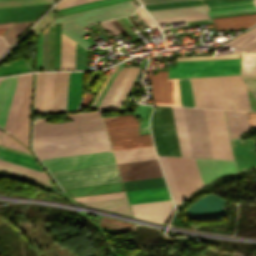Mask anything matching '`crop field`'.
Here are the masks:
<instances>
[{
    "label": "crop field",
    "instance_id": "1",
    "mask_svg": "<svg viewBox=\"0 0 256 256\" xmlns=\"http://www.w3.org/2000/svg\"><path fill=\"white\" fill-rule=\"evenodd\" d=\"M196 107L250 110L238 76L190 78Z\"/></svg>",
    "mask_w": 256,
    "mask_h": 256
},
{
    "label": "crop field",
    "instance_id": "2",
    "mask_svg": "<svg viewBox=\"0 0 256 256\" xmlns=\"http://www.w3.org/2000/svg\"><path fill=\"white\" fill-rule=\"evenodd\" d=\"M82 136V138H80ZM95 139V141H94ZM104 130L33 139V149L107 141ZM109 142L34 150L39 159L107 151Z\"/></svg>",
    "mask_w": 256,
    "mask_h": 256
},
{
    "label": "crop field",
    "instance_id": "3",
    "mask_svg": "<svg viewBox=\"0 0 256 256\" xmlns=\"http://www.w3.org/2000/svg\"><path fill=\"white\" fill-rule=\"evenodd\" d=\"M140 4L136 1H129L121 4H116L108 7H103L91 11H86L78 14H73L57 19H53L52 23L62 22V33L73 39L85 49L90 51L87 47L91 46L82 37L90 34L89 31L84 30V25L99 21H104L112 18H117L133 13L134 9Z\"/></svg>",
    "mask_w": 256,
    "mask_h": 256
},
{
    "label": "crop field",
    "instance_id": "4",
    "mask_svg": "<svg viewBox=\"0 0 256 256\" xmlns=\"http://www.w3.org/2000/svg\"><path fill=\"white\" fill-rule=\"evenodd\" d=\"M28 75L18 77L14 95L12 98L11 106L7 116L4 129L12 135L15 120L19 110L20 102L24 92L25 84ZM31 84L32 74L29 75L25 92L23 95L22 103L18 113L17 121L14 128L13 137L20 141L22 144L28 146V134H29V120H30V104H31Z\"/></svg>",
    "mask_w": 256,
    "mask_h": 256
},
{
    "label": "crop field",
    "instance_id": "5",
    "mask_svg": "<svg viewBox=\"0 0 256 256\" xmlns=\"http://www.w3.org/2000/svg\"><path fill=\"white\" fill-rule=\"evenodd\" d=\"M67 116L74 122L52 124L46 123L45 118L38 119L34 123L33 138L104 129L101 111L80 112Z\"/></svg>",
    "mask_w": 256,
    "mask_h": 256
},
{
    "label": "crop field",
    "instance_id": "6",
    "mask_svg": "<svg viewBox=\"0 0 256 256\" xmlns=\"http://www.w3.org/2000/svg\"><path fill=\"white\" fill-rule=\"evenodd\" d=\"M62 188L121 181L116 165H103L51 172Z\"/></svg>",
    "mask_w": 256,
    "mask_h": 256
},
{
    "label": "crop field",
    "instance_id": "7",
    "mask_svg": "<svg viewBox=\"0 0 256 256\" xmlns=\"http://www.w3.org/2000/svg\"><path fill=\"white\" fill-rule=\"evenodd\" d=\"M151 128L158 155L181 156L171 107L158 106Z\"/></svg>",
    "mask_w": 256,
    "mask_h": 256
},
{
    "label": "crop field",
    "instance_id": "8",
    "mask_svg": "<svg viewBox=\"0 0 256 256\" xmlns=\"http://www.w3.org/2000/svg\"><path fill=\"white\" fill-rule=\"evenodd\" d=\"M240 59L177 62L169 78L238 74Z\"/></svg>",
    "mask_w": 256,
    "mask_h": 256
},
{
    "label": "crop field",
    "instance_id": "9",
    "mask_svg": "<svg viewBox=\"0 0 256 256\" xmlns=\"http://www.w3.org/2000/svg\"><path fill=\"white\" fill-rule=\"evenodd\" d=\"M183 110L193 157L213 158L203 109Z\"/></svg>",
    "mask_w": 256,
    "mask_h": 256
},
{
    "label": "crop field",
    "instance_id": "10",
    "mask_svg": "<svg viewBox=\"0 0 256 256\" xmlns=\"http://www.w3.org/2000/svg\"><path fill=\"white\" fill-rule=\"evenodd\" d=\"M41 161L49 171L115 163L111 151Z\"/></svg>",
    "mask_w": 256,
    "mask_h": 256
},
{
    "label": "crop field",
    "instance_id": "11",
    "mask_svg": "<svg viewBox=\"0 0 256 256\" xmlns=\"http://www.w3.org/2000/svg\"><path fill=\"white\" fill-rule=\"evenodd\" d=\"M153 91L154 104L180 106L177 79H167V71L148 74Z\"/></svg>",
    "mask_w": 256,
    "mask_h": 256
},
{
    "label": "crop field",
    "instance_id": "12",
    "mask_svg": "<svg viewBox=\"0 0 256 256\" xmlns=\"http://www.w3.org/2000/svg\"><path fill=\"white\" fill-rule=\"evenodd\" d=\"M112 149L153 145L151 135H139L138 126L106 130Z\"/></svg>",
    "mask_w": 256,
    "mask_h": 256
},
{
    "label": "crop field",
    "instance_id": "13",
    "mask_svg": "<svg viewBox=\"0 0 256 256\" xmlns=\"http://www.w3.org/2000/svg\"><path fill=\"white\" fill-rule=\"evenodd\" d=\"M117 165L123 181L162 176L157 159Z\"/></svg>",
    "mask_w": 256,
    "mask_h": 256
},
{
    "label": "crop field",
    "instance_id": "14",
    "mask_svg": "<svg viewBox=\"0 0 256 256\" xmlns=\"http://www.w3.org/2000/svg\"><path fill=\"white\" fill-rule=\"evenodd\" d=\"M130 206L134 217L165 224L170 214L172 204L170 200H166Z\"/></svg>",
    "mask_w": 256,
    "mask_h": 256
},
{
    "label": "crop field",
    "instance_id": "15",
    "mask_svg": "<svg viewBox=\"0 0 256 256\" xmlns=\"http://www.w3.org/2000/svg\"><path fill=\"white\" fill-rule=\"evenodd\" d=\"M203 185L213 179L236 172L234 161L194 158Z\"/></svg>",
    "mask_w": 256,
    "mask_h": 256
},
{
    "label": "crop field",
    "instance_id": "16",
    "mask_svg": "<svg viewBox=\"0 0 256 256\" xmlns=\"http://www.w3.org/2000/svg\"><path fill=\"white\" fill-rule=\"evenodd\" d=\"M237 172L256 169L254 140L231 139Z\"/></svg>",
    "mask_w": 256,
    "mask_h": 256
},
{
    "label": "crop field",
    "instance_id": "17",
    "mask_svg": "<svg viewBox=\"0 0 256 256\" xmlns=\"http://www.w3.org/2000/svg\"><path fill=\"white\" fill-rule=\"evenodd\" d=\"M50 5L0 9V23L36 20Z\"/></svg>",
    "mask_w": 256,
    "mask_h": 256
},
{
    "label": "crop field",
    "instance_id": "18",
    "mask_svg": "<svg viewBox=\"0 0 256 256\" xmlns=\"http://www.w3.org/2000/svg\"><path fill=\"white\" fill-rule=\"evenodd\" d=\"M238 54H242L240 74L256 75V53L245 52L243 50L235 49L234 53L221 56H202V57H179V60H196V59H224V58H238Z\"/></svg>",
    "mask_w": 256,
    "mask_h": 256
},
{
    "label": "crop field",
    "instance_id": "19",
    "mask_svg": "<svg viewBox=\"0 0 256 256\" xmlns=\"http://www.w3.org/2000/svg\"><path fill=\"white\" fill-rule=\"evenodd\" d=\"M69 73H55L52 113L66 111Z\"/></svg>",
    "mask_w": 256,
    "mask_h": 256
},
{
    "label": "crop field",
    "instance_id": "20",
    "mask_svg": "<svg viewBox=\"0 0 256 256\" xmlns=\"http://www.w3.org/2000/svg\"><path fill=\"white\" fill-rule=\"evenodd\" d=\"M17 77L2 79L0 83V127H4Z\"/></svg>",
    "mask_w": 256,
    "mask_h": 256
},
{
    "label": "crop field",
    "instance_id": "21",
    "mask_svg": "<svg viewBox=\"0 0 256 256\" xmlns=\"http://www.w3.org/2000/svg\"><path fill=\"white\" fill-rule=\"evenodd\" d=\"M79 204L92 207V208H97L101 210L112 211V212H116V213H120L128 216H132L126 197L83 202Z\"/></svg>",
    "mask_w": 256,
    "mask_h": 256
},
{
    "label": "crop field",
    "instance_id": "22",
    "mask_svg": "<svg viewBox=\"0 0 256 256\" xmlns=\"http://www.w3.org/2000/svg\"><path fill=\"white\" fill-rule=\"evenodd\" d=\"M130 204L170 199L166 187L126 192Z\"/></svg>",
    "mask_w": 256,
    "mask_h": 256
},
{
    "label": "crop field",
    "instance_id": "23",
    "mask_svg": "<svg viewBox=\"0 0 256 256\" xmlns=\"http://www.w3.org/2000/svg\"><path fill=\"white\" fill-rule=\"evenodd\" d=\"M72 197L124 191L121 182L65 189Z\"/></svg>",
    "mask_w": 256,
    "mask_h": 256
},
{
    "label": "crop field",
    "instance_id": "24",
    "mask_svg": "<svg viewBox=\"0 0 256 256\" xmlns=\"http://www.w3.org/2000/svg\"><path fill=\"white\" fill-rule=\"evenodd\" d=\"M117 163L156 158L153 146L113 151Z\"/></svg>",
    "mask_w": 256,
    "mask_h": 256
},
{
    "label": "crop field",
    "instance_id": "25",
    "mask_svg": "<svg viewBox=\"0 0 256 256\" xmlns=\"http://www.w3.org/2000/svg\"><path fill=\"white\" fill-rule=\"evenodd\" d=\"M172 109H173L181 154L182 156L192 157L184 115H183V110L182 108H177V107H172Z\"/></svg>",
    "mask_w": 256,
    "mask_h": 256
},
{
    "label": "crop field",
    "instance_id": "26",
    "mask_svg": "<svg viewBox=\"0 0 256 256\" xmlns=\"http://www.w3.org/2000/svg\"><path fill=\"white\" fill-rule=\"evenodd\" d=\"M217 30L249 27L256 23V14L212 19Z\"/></svg>",
    "mask_w": 256,
    "mask_h": 256
},
{
    "label": "crop field",
    "instance_id": "27",
    "mask_svg": "<svg viewBox=\"0 0 256 256\" xmlns=\"http://www.w3.org/2000/svg\"><path fill=\"white\" fill-rule=\"evenodd\" d=\"M231 138H239L240 134L247 131L249 126L246 112L225 110ZM236 114V116H233ZM238 123V125H235Z\"/></svg>",
    "mask_w": 256,
    "mask_h": 256
},
{
    "label": "crop field",
    "instance_id": "28",
    "mask_svg": "<svg viewBox=\"0 0 256 256\" xmlns=\"http://www.w3.org/2000/svg\"><path fill=\"white\" fill-rule=\"evenodd\" d=\"M154 19L206 13L203 5L149 11Z\"/></svg>",
    "mask_w": 256,
    "mask_h": 256
},
{
    "label": "crop field",
    "instance_id": "29",
    "mask_svg": "<svg viewBox=\"0 0 256 256\" xmlns=\"http://www.w3.org/2000/svg\"><path fill=\"white\" fill-rule=\"evenodd\" d=\"M83 73H70L67 111L77 108L80 102Z\"/></svg>",
    "mask_w": 256,
    "mask_h": 256
},
{
    "label": "crop field",
    "instance_id": "30",
    "mask_svg": "<svg viewBox=\"0 0 256 256\" xmlns=\"http://www.w3.org/2000/svg\"><path fill=\"white\" fill-rule=\"evenodd\" d=\"M75 42L62 34L60 69H74Z\"/></svg>",
    "mask_w": 256,
    "mask_h": 256
},
{
    "label": "crop field",
    "instance_id": "31",
    "mask_svg": "<svg viewBox=\"0 0 256 256\" xmlns=\"http://www.w3.org/2000/svg\"><path fill=\"white\" fill-rule=\"evenodd\" d=\"M125 1H129V0H99V1L91 2V3H87V4L75 6V7L59 9L57 10V15L55 18L90 10V9H95L103 6H108V5H112L120 2H125Z\"/></svg>",
    "mask_w": 256,
    "mask_h": 256
},
{
    "label": "crop field",
    "instance_id": "32",
    "mask_svg": "<svg viewBox=\"0 0 256 256\" xmlns=\"http://www.w3.org/2000/svg\"><path fill=\"white\" fill-rule=\"evenodd\" d=\"M225 45L256 51V26Z\"/></svg>",
    "mask_w": 256,
    "mask_h": 256
},
{
    "label": "crop field",
    "instance_id": "33",
    "mask_svg": "<svg viewBox=\"0 0 256 256\" xmlns=\"http://www.w3.org/2000/svg\"><path fill=\"white\" fill-rule=\"evenodd\" d=\"M0 159L43 172L35 159L0 149Z\"/></svg>",
    "mask_w": 256,
    "mask_h": 256
},
{
    "label": "crop field",
    "instance_id": "34",
    "mask_svg": "<svg viewBox=\"0 0 256 256\" xmlns=\"http://www.w3.org/2000/svg\"><path fill=\"white\" fill-rule=\"evenodd\" d=\"M158 158L161 162L163 173H164L169 191L171 193V196L174 200V203H175L176 207H178L182 203V201H181V198L179 196L178 190L176 188V185H175L174 179L172 177L171 171L169 169L168 163L166 161V158L162 157V156H158Z\"/></svg>",
    "mask_w": 256,
    "mask_h": 256
},
{
    "label": "crop field",
    "instance_id": "35",
    "mask_svg": "<svg viewBox=\"0 0 256 256\" xmlns=\"http://www.w3.org/2000/svg\"><path fill=\"white\" fill-rule=\"evenodd\" d=\"M54 73H45L43 93V113H51Z\"/></svg>",
    "mask_w": 256,
    "mask_h": 256
},
{
    "label": "crop field",
    "instance_id": "36",
    "mask_svg": "<svg viewBox=\"0 0 256 256\" xmlns=\"http://www.w3.org/2000/svg\"><path fill=\"white\" fill-rule=\"evenodd\" d=\"M103 121L106 129L139 125L132 115L103 118Z\"/></svg>",
    "mask_w": 256,
    "mask_h": 256
},
{
    "label": "crop field",
    "instance_id": "37",
    "mask_svg": "<svg viewBox=\"0 0 256 256\" xmlns=\"http://www.w3.org/2000/svg\"><path fill=\"white\" fill-rule=\"evenodd\" d=\"M29 71H31L29 64L23 59H21L14 62L2 64V67H0V76L29 72Z\"/></svg>",
    "mask_w": 256,
    "mask_h": 256
},
{
    "label": "crop field",
    "instance_id": "38",
    "mask_svg": "<svg viewBox=\"0 0 256 256\" xmlns=\"http://www.w3.org/2000/svg\"><path fill=\"white\" fill-rule=\"evenodd\" d=\"M181 106L194 107L188 78L178 79Z\"/></svg>",
    "mask_w": 256,
    "mask_h": 256
},
{
    "label": "crop field",
    "instance_id": "39",
    "mask_svg": "<svg viewBox=\"0 0 256 256\" xmlns=\"http://www.w3.org/2000/svg\"><path fill=\"white\" fill-rule=\"evenodd\" d=\"M0 170L52 186L48 179L0 164Z\"/></svg>",
    "mask_w": 256,
    "mask_h": 256
},
{
    "label": "crop field",
    "instance_id": "40",
    "mask_svg": "<svg viewBox=\"0 0 256 256\" xmlns=\"http://www.w3.org/2000/svg\"><path fill=\"white\" fill-rule=\"evenodd\" d=\"M99 225L116 230H133L135 224L102 217Z\"/></svg>",
    "mask_w": 256,
    "mask_h": 256
},
{
    "label": "crop field",
    "instance_id": "41",
    "mask_svg": "<svg viewBox=\"0 0 256 256\" xmlns=\"http://www.w3.org/2000/svg\"><path fill=\"white\" fill-rule=\"evenodd\" d=\"M198 4H201L200 0H185V1L149 4L144 6L146 7L147 10H152V9L180 7V6H189V5H198Z\"/></svg>",
    "mask_w": 256,
    "mask_h": 256
},
{
    "label": "crop field",
    "instance_id": "42",
    "mask_svg": "<svg viewBox=\"0 0 256 256\" xmlns=\"http://www.w3.org/2000/svg\"><path fill=\"white\" fill-rule=\"evenodd\" d=\"M44 73H38L35 87L34 112H41Z\"/></svg>",
    "mask_w": 256,
    "mask_h": 256
},
{
    "label": "crop field",
    "instance_id": "43",
    "mask_svg": "<svg viewBox=\"0 0 256 256\" xmlns=\"http://www.w3.org/2000/svg\"><path fill=\"white\" fill-rule=\"evenodd\" d=\"M126 69L127 68L124 67L122 71L118 72L117 76L115 77L114 81L112 82L111 86L109 87L107 93L105 94V96L102 99L101 103L99 104L98 108L105 109L107 103L109 102L111 96L113 95L115 89L117 88L119 82L121 81Z\"/></svg>",
    "mask_w": 256,
    "mask_h": 256
},
{
    "label": "crop field",
    "instance_id": "44",
    "mask_svg": "<svg viewBox=\"0 0 256 256\" xmlns=\"http://www.w3.org/2000/svg\"><path fill=\"white\" fill-rule=\"evenodd\" d=\"M51 3V0H14L0 2V8Z\"/></svg>",
    "mask_w": 256,
    "mask_h": 256
},
{
    "label": "crop field",
    "instance_id": "45",
    "mask_svg": "<svg viewBox=\"0 0 256 256\" xmlns=\"http://www.w3.org/2000/svg\"><path fill=\"white\" fill-rule=\"evenodd\" d=\"M252 5H256L254 0L209 4V5H205V7L207 8V10H212V9H222V8H232V7H242V6H252Z\"/></svg>",
    "mask_w": 256,
    "mask_h": 256
},
{
    "label": "crop field",
    "instance_id": "46",
    "mask_svg": "<svg viewBox=\"0 0 256 256\" xmlns=\"http://www.w3.org/2000/svg\"><path fill=\"white\" fill-rule=\"evenodd\" d=\"M87 50L76 43L75 69H86Z\"/></svg>",
    "mask_w": 256,
    "mask_h": 256
},
{
    "label": "crop field",
    "instance_id": "47",
    "mask_svg": "<svg viewBox=\"0 0 256 256\" xmlns=\"http://www.w3.org/2000/svg\"><path fill=\"white\" fill-rule=\"evenodd\" d=\"M139 69L140 68H137V67L134 68V70H133V72H132V74H131L123 92L121 93V95H120L119 99L117 100L116 104L114 105L113 109H119L120 105L122 104L123 100L125 99L126 95L128 94Z\"/></svg>",
    "mask_w": 256,
    "mask_h": 256
},
{
    "label": "crop field",
    "instance_id": "48",
    "mask_svg": "<svg viewBox=\"0 0 256 256\" xmlns=\"http://www.w3.org/2000/svg\"><path fill=\"white\" fill-rule=\"evenodd\" d=\"M133 68L129 67L126 74L124 75L122 81L120 82L118 88L116 89L114 95L112 96L110 102L108 103L106 109H112L113 105L115 104L117 98L119 97L120 93L122 92L131 72H132Z\"/></svg>",
    "mask_w": 256,
    "mask_h": 256
},
{
    "label": "crop field",
    "instance_id": "49",
    "mask_svg": "<svg viewBox=\"0 0 256 256\" xmlns=\"http://www.w3.org/2000/svg\"><path fill=\"white\" fill-rule=\"evenodd\" d=\"M55 24L49 25L48 69H53Z\"/></svg>",
    "mask_w": 256,
    "mask_h": 256
},
{
    "label": "crop field",
    "instance_id": "50",
    "mask_svg": "<svg viewBox=\"0 0 256 256\" xmlns=\"http://www.w3.org/2000/svg\"><path fill=\"white\" fill-rule=\"evenodd\" d=\"M61 23L56 24L54 69H59Z\"/></svg>",
    "mask_w": 256,
    "mask_h": 256
},
{
    "label": "crop field",
    "instance_id": "51",
    "mask_svg": "<svg viewBox=\"0 0 256 256\" xmlns=\"http://www.w3.org/2000/svg\"><path fill=\"white\" fill-rule=\"evenodd\" d=\"M205 18H209L207 14L177 17V18H168V19H159V20H156V21L158 22V24H163V23L197 20V19H205Z\"/></svg>",
    "mask_w": 256,
    "mask_h": 256
},
{
    "label": "crop field",
    "instance_id": "52",
    "mask_svg": "<svg viewBox=\"0 0 256 256\" xmlns=\"http://www.w3.org/2000/svg\"><path fill=\"white\" fill-rule=\"evenodd\" d=\"M122 196H126L124 192L112 193V194H103V195H94V196H86V197H77V198H74V199L77 200L78 202H82V201H90V200L122 197Z\"/></svg>",
    "mask_w": 256,
    "mask_h": 256
},
{
    "label": "crop field",
    "instance_id": "53",
    "mask_svg": "<svg viewBox=\"0 0 256 256\" xmlns=\"http://www.w3.org/2000/svg\"><path fill=\"white\" fill-rule=\"evenodd\" d=\"M0 144L1 145H4V146H8V147H11V148H14V149H17V150H20V151H24V152H27L29 153L28 150H26L25 148H23L18 142H16L13 138L7 136V135H3L1 138H0Z\"/></svg>",
    "mask_w": 256,
    "mask_h": 256
},
{
    "label": "crop field",
    "instance_id": "54",
    "mask_svg": "<svg viewBox=\"0 0 256 256\" xmlns=\"http://www.w3.org/2000/svg\"><path fill=\"white\" fill-rule=\"evenodd\" d=\"M253 10H256V6L232 8V9H222V10H212V11H208V12L210 15H214V14L234 13V12L253 11Z\"/></svg>",
    "mask_w": 256,
    "mask_h": 256
},
{
    "label": "crop field",
    "instance_id": "55",
    "mask_svg": "<svg viewBox=\"0 0 256 256\" xmlns=\"http://www.w3.org/2000/svg\"><path fill=\"white\" fill-rule=\"evenodd\" d=\"M239 77L256 98V77H250V76H239Z\"/></svg>",
    "mask_w": 256,
    "mask_h": 256
},
{
    "label": "crop field",
    "instance_id": "56",
    "mask_svg": "<svg viewBox=\"0 0 256 256\" xmlns=\"http://www.w3.org/2000/svg\"><path fill=\"white\" fill-rule=\"evenodd\" d=\"M140 19H142L151 29L157 28L156 24L152 21V19L149 17V15L146 13V11L143 9V7H140L135 12Z\"/></svg>",
    "mask_w": 256,
    "mask_h": 256
},
{
    "label": "crop field",
    "instance_id": "57",
    "mask_svg": "<svg viewBox=\"0 0 256 256\" xmlns=\"http://www.w3.org/2000/svg\"><path fill=\"white\" fill-rule=\"evenodd\" d=\"M91 1H95V0H63L57 5V9L75 6V5H79V4H83Z\"/></svg>",
    "mask_w": 256,
    "mask_h": 256
},
{
    "label": "crop field",
    "instance_id": "58",
    "mask_svg": "<svg viewBox=\"0 0 256 256\" xmlns=\"http://www.w3.org/2000/svg\"><path fill=\"white\" fill-rule=\"evenodd\" d=\"M0 163H3V164H6V165H9V166H13V167H16V168H19V169H22V170H26V171H29V172H32V173H36V174H39V175L48 177V176H47L46 174H44V173L37 172V171L31 170V169H28V168H25V167H21V166L12 164V163H8V162H5V161H2V160H0Z\"/></svg>",
    "mask_w": 256,
    "mask_h": 256
},
{
    "label": "crop field",
    "instance_id": "59",
    "mask_svg": "<svg viewBox=\"0 0 256 256\" xmlns=\"http://www.w3.org/2000/svg\"><path fill=\"white\" fill-rule=\"evenodd\" d=\"M250 127L256 128V112H247Z\"/></svg>",
    "mask_w": 256,
    "mask_h": 256
},
{
    "label": "crop field",
    "instance_id": "60",
    "mask_svg": "<svg viewBox=\"0 0 256 256\" xmlns=\"http://www.w3.org/2000/svg\"><path fill=\"white\" fill-rule=\"evenodd\" d=\"M117 67H118V66H116V67H114V68L112 69L110 75L108 76L107 80L105 81L104 85L102 86L100 92L98 93L97 97L95 98L94 102L92 103L91 108H93L95 102L97 101L98 97L100 96V94H101L102 90L104 89L105 85L107 84L109 78L111 77L112 73L116 71Z\"/></svg>",
    "mask_w": 256,
    "mask_h": 256
},
{
    "label": "crop field",
    "instance_id": "61",
    "mask_svg": "<svg viewBox=\"0 0 256 256\" xmlns=\"http://www.w3.org/2000/svg\"><path fill=\"white\" fill-rule=\"evenodd\" d=\"M210 22H211L210 19H205V20L189 21V22H186V24L187 26H191V25L208 24Z\"/></svg>",
    "mask_w": 256,
    "mask_h": 256
},
{
    "label": "crop field",
    "instance_id": "62",
    "mask_svg": "<svg viewBox=\"0 0 256 256\" xmlns=\"http://www.w3.org/2000/svg\"><path fill=\"white\" fill-rule=\"evenodd\" d=\"M9 47L8 45L5 43V41L2 39V37H0V55L7 50Z\"/></svg>",
    "mask_w": 256,
    "mask_h": 256
},
{
    "label": "crop field",
    "instance_id": "63",
    "mask_svg": "<svg viewBox=\"0 0 256 256\" xmlns=\"http://www.w3.org/2000/svg\"><path fill=\"white\" fill-rule=\"evenodd\" d=\"M229 1H239V0H202L203 4L229 2Z\"/></svg>",
    "mask_w": 256,
    "mask_h": 256
},
{
    "label": "crop field",
    "instance_id": "64",
    "mask_svg": "<svg viewBox=\"0 0 256 256\" xmlns=\"http://www.w3.org/2000/svg\"><path fill=\"white\" fill-rule=\"evenodd\" d=\"M115 35L119 34V32L114 28V26L109 22H103Z\"/></svg>",
    "mask_w": 256,
    "mask_h": 256
},
{
    "label": "crop field",
    "instance_id": "65",
    "mask_svg": "<svg viewBox=\"0 0 256 256\" xmlns=\"http://www.w3.org/2000/svg\"><path fill=\"white\" fill-rule=\"evenodd\" d=\"M121 33L125 32V30L121 27V25L116 21L112 20L110 21Z\"/></svg>",
    "mask_w": 256,
    "mask_h": 256
},
{
    "label": "crop field",
    "instance_id": "66",
    "mask_svg": "<svg viewBox=\"0 0 256 256\" xmlns=\"http://www.w3.org/2000/svg\"><path fill=\"white\" fill-rule=\"evenodd\" d=\"M91 96H92V94H86V96H85V98L83 99V101L81 102V106H86L87 105V103H88V101L90 100V98H91Z\"/></svg>",
    "mask_w": 256,
    "mask_h": 256
},
{
    "label": "crop field",
    "instance_id": "67",
    "mask_svg": "<svg viewBox=\"0 0 256 256\" xmlns=\"http://www.w3.org/2000/svg\"><path fill=\"white\" fill-rule=\"evenodd\" d=\"M141 3H149V2H160V1H171V0H140Z\"/></svg>",
    "mask_w": 256,
    "mask_h": 256
},
{
    "label": "crop field",
    "instance_id": "68",
    "mask_svg": "<svg viewBox=\"0 0 256 256\" xmlns=\"http://www.w3.org/2000/svg\"><path fill=\"white\" fill-rule=\"evenodd\" d=\"M13 23L0 24V29L9 28Z\"/></svg>",
    "mask_w": 256,
    "mask_h": 256
},
{
    "label": "crop field",
    "instance_id": "69",
    "mask_svg": "<svg viewBox=\"0 0 256 256\" xmlns=\"http://www.w3.org/2000/svg\"><path fill=\"white\" fill-rule=\"evenodd\" d=\"M18 23H15L4 35L3 37L5 38L9 33L10 31L17 25Z\"/></svg>",
    "mask_w": 256,
    "mask_h": 256
},
{
    "label": "crop field",
    "instance_id": "70",
    "mask_svg": "<svg viewBox=\"0 0 256 256\" xmlns=\"http://www.w3.org/2000/svg\"><path fill=\"white\" fill-rule=\"evenodd\" d=\"M94 26L105 36L107 35L97 24H94Z\"/></svg>",
    "mask_w": 256,
    "mask_h": 256
},
{
    "label": "crop field",
    "instance_id": "71",
    "mask_svg": "<svg viewBox=\"0 0 256 256\" xmlns=\"http://www.w3.org/2000/svg\"><path fill=\"white\" fill-rule=\"evenodd\" d=\"M7 29L0 30V35H2Z\"/></svg>",
    "mask_w": 256,
    "mask_h": 256
},
{
    "label": "crop field",
    "instance_id": "72",
    "mask_svg": "<svg viewBox=\"0 0 256 256\" xmlns=\"http://www.w3.org/2000/svg\"><path fill=\"white\" fill-rule=\"evenodd\" d=\"M2 133H3V132H0V136H1Z\"/></svg>",
    "mask_w": 256,
    "mask_h": 256
},
{
    "label": "crop field",
    "instance_id": "73",
    "mask_svg": "<svg viewBox=\"0 0 256 256\" xmlns=\"http://www.w3.org/2000/svg\"><path fill=\"white\" fill-rule=\"evenodd\" d=\"M0 81H1V79H0Z\"/></svg>",
    "mask_w": 256,
    "mask_h": 256
}]
</instances>
